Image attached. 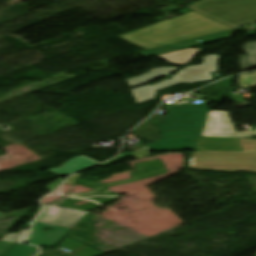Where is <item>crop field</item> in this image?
Here are the masks:
<instances>
[{
  "label": "crop field",
  "instance_id": "5a996713",
  "mask_svg": "<svg viewBox=\"0 0 256 256\" xmlns=\"http://www.w3.org/2000/svg\"><path fill=\"white\" fill-rule=\"evenodd\" d=\"M96 163H99V162L94 161V160L89 159L84 156H77V157H74V158L68 160L67 164L62 165V168L49 169L48 171L55 173V174H59V175H69L75 171L87 168Z\"/></svg>",
  "mask_w": 256,
  "mask_h": 256
},
{
  "label": "crop field",
  "instance_id": "dd49c442",
  "mask_svg": "<svg viewBox=\"0 0 256 256\" xmlns=\"http://www.w3.org/2000/svg\"><path fill=\"white\" fill-rule=\"evenodd\" d=\"M84 214L85 212L80 210L44 206L37 221L72 228Z\"/></svg>",
  "mask_w": 256,
  "mask_h": 256
},
{
  "label": "crop field",
  "instance_id": "d8731c3e",
  "mask_svg": "<svg viewBox=\"0 0 256 256\" xmlns=\"http://www.w3.org/2000/svg\"><path fill=\"white\" fill-rule=\"evenodd\" d=\"M232 30H228V31H224V32H220V33H216V34H212V35H208V36H204V37H200V38H196V39H192V40H188V41H184V42H180V43H176V44H172V45L159 47V48H156V49L140 52V54H142L146 58H149V57L165 54V53H168V52H172V51H176V50H180V49H185V48H189V47H192V46H196V45H200V44H204V43H208V42L228 38V37L231 36ZM203 39H207V40H204L200 43L196 42L197 40H203ZM155 51H158V52L145 55L147 53H151V52H155Z\"/></svg>",
  "mask_w": 256,
  "mask_h": 256
},
{
  "label": "crop field",
  "instance_id": "f4fd0767",
  "mask_svg": "<svg viewBox=\"0 0 256 256\" xmlns=\"http://www.w3.org/2000/svg\"><path fill=\"white\" fill-rule=\"evenodd\" d=\"M201 137L251 138L256 137V131L234 133L228 112L209 111Z\"/></svg>",
  "mask_w": 256,
  "mask_h": 256
},
{
  "label": "crop field",
  "instance_id": "ac0d7876",
  "mask_svg": "<svg viewBox=\"0 0 256 256\" xmlns=\"http://www.w3.org/2000/svg\"><path fill=\"white\" fill-rule=\"evenodd\" d=\"M231 29L196 12L118 36L144 50Z\"/></svg>",
  "mask_w": 256,
  "mask_h": 256
},
{
  "label": "crop field",
  "instance_id": "cbeb9de0",
  "mask_svg": "<svg viewBox=\"0 0 256 256\" xmlns=\"http://www.w3.org/2000/svg\"><path fill=\"white\" fill-rule=\"evenodd\" d=\"M64 180L62 179H58L55 182H53L48 188L47 191H52L54 189H56Z\"/></svg>",
  "mask_w": 256,
  "mask_h": 256
},
{
  "label": "crop field",
  "instance_id": "733c2abd",
  "mask_svg": "<svg viewBox=\"0 0 256 256\" xmlns=\"http://www.w3.org/2000/svg\"><path fill=\"white\" fill-rule=\"evenodd\" d=\"M39 256H43V255H39Z\"/></svg>",
  "mask_w": 256,
  "mask_h": 256
},
{
  "label": "crop field",
  "instance_id": "8a807250",
  "mask_svg": "<svg viewBox=\"0 0 256 256\" xmlns=\"http://www.w3.org/2000/svg\"><path fill=\"white\" fill-rule=\"evenodd\" d=\"M207 110L206 104L190 105L187 101L173 103L165 121L160 123L161 139L145 145L159 151L194 149ZM196 149L241 151L237 139L219 138H199Z\"/></svg>",
  "mask_w": 256,
  "mask_h": 256
},
{
  "label": "crop field",
  "instance_id": "28ad6ade",
  "mask_svg": "<svg viewBox=\"0 0 256 256\" xmlns=\"http://www.w3.org/2000/svg\"><path fill=\"white\" fill-rule=\"evenodd\" d=\"M38 252V249L22 244H15L7 253L3 256H34Z\"/></svg>",
  "mask_w": 256,
  "mask_h": 256
},
{
  "label": "crop field",
  "instance_id": "d1516ede",
  "mask_svg": "<svg viewBox=\"0 0 256 256\" xmlns=\"http://www.w3.org/2000/svg\"><path fill=\"white\" fill-rule=\"evenodd\" d=\"M241 87L252 88L256 86V73L240 76Z\"/></svg>",
  "mask_w": 256,
  "mask_h": 256
},
{
  "label": "crop field",
  "instance_id": "3316defc",
  "mask_svg": "<svg viewBox=\"0 0 256 256\" xmlns=\"http://www.w3.org/2000/svg\"><path fill=\"white\" fill-rule=\"evenodd\" d=\"M243 50L246 55L238 56L241 70L256 67V42H245Z\"/></svg>",
  "mask_w": 256,
  "mask_h": 256
},
{
  "label": "crop field",
  "instance_id": "d9b57169",
  "mask_svg": "<svg viewBox=\"0 0 256 256\" xmlns=\"http://www.w3.org/2000/svg\"><path fill=\"white\" fill-rule=\"evenodd\" d=\"M0 216H4V215L0 214Z\"/></svg>",
  "mask_w": 256,
  "mask_h": 256
},
{
  "label": "crop field",
  "instance_id": "22f410ed",
  "mask_svg": "<svg viewBox=\"0 0 256 256\" xmlns=\"http://www.w3.org/2000/svg\"><path fill=\"white\" fill-rule=\"evenodd\" d=\"M12 244H13V243H11V242L1 241V242H0V256H1Z\"/></svg>",
  "mask_w": 256,
  "mask_h": 256
},
{
  "label": "crop field",
  "instance_id": "34b2d1b8",
  "mask_svg": "<svg viewBox=\"0 0 256 256\" xmlns=\"http://www.w3.org/2000/svg\"><path fill=\"white\" fill-rule=\"evenodd\" d=\"M238 140L242 152L198 151L192 153L189 167L216 171L256 172V140Z\"/></svg>",
  "mask_w": 256,
  "mask_h": 256
},
{
  "label": "crop field",
  "instance_id": "5142ce71",
  "mask_svg": "<svg viewBox=\"0 0 256 256\" xmlns=\"http://www.w3.org/2000/svg\"><path fill=\"white\" fill-rule=\"evenodd\" d=\"M81 175H82V174L74 175L73 177H71L70 179H68V180L66 181V183L73 185V184L75 183V181H76Z\"/></svg>",
  "mask_w": 256,
  "mask_h": 256
},
{
  "label": "crop field",
  "instance_id": "e52e79f7",
  "mask_svg": "<svg viewBox=\"0 0 256 256\" xmlns=\"http://www.w3.org/2000/svg\"><path fill=\"white\" fill-rule=\"evenodd\" d=\"M45 227H52L54 230L42 232ZM69 230V228L35 222L29 236L28 243L40 246L55 247Z\"/></svg>",
  "mask_w": 256,
  "mask_h": 256
},
{
  "label": "crop field",
  "instance_id": "412701ff",
  "mask_svg": "<svg viewBox=\"0 0 256 256\" xmlns=\"http://www.w3.org/2000/svg\"><path fill=\"white\" fill-rule=\"evenodd\" d=\"M139 173L131 174L133 179L130 180H125V181H120V182H115V183H110V184H103V183H92L88 180L80 179L77 184L88 186V187H94L97 188L93 191H90L85 194H78V195H72L70 196L72 199L66 202L65 204L62 205V207H68V208H74V209H80L84 211H88L90 209H93L97 206H100L102 204H105L107 202H110L114 199L119 198V196L115 193H109L105 192L107 186L123 183V182H128L136 179H141L153 175H158V174H163L166 173V169L160 162L154 161V162H149L145 164H139L136 165ZM96 198H101L100 200H97ZM85 200L89 201L92 203L81 205V206H75L73 203Z\"/></svg>",
  "mask_w": 256,
  "mask_h": 256
}]
</instances>
